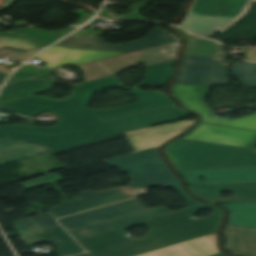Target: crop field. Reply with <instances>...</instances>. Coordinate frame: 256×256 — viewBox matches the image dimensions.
<instances>
[{"mask_svg": "<svg viewBox=\"0 0 256 256\" xmlns=\"http://www.w3.org/2000/svg\"><path fill=\"white\" fill-rule=\"evenodd\" d=\"M78 256H89V255L87 253H85V254L78 255Z\"/></svg>", "mask_w": 256, "mask_h": 256, "instance_id": "1d83c4d3", "label": "crop field"}, {"mask_svg": "<svg viewBox=\"0 0 256 256\" xmlns=\"http://www.w3.org/2000/svg\"><path fill=\"white\" fill-rule=\"evenodd\" d=\"M60 181H64V179L62 177H60L58 174H56V175L49 176V177H46V178H43V179H39V180H36V181H33V182L22 184V186L26 190H28V189H32V188H36V187H40V186L60 182Z\"/></svg>", "mask_w": 256, "mask_h": 256, "instance_id": "eef30255", "label": "crop field"}, {"mask_svg": "<svg viewBox=\"0 0 256 256\" xmlns=\"http://www.w3.org/2000/svg\"><path fill=\"white\" fill-rule=\"evenodd\" d=\"M234 77L238 78L245 87L256 88V64L244 62L230 67ZM245 76L244 78H240Z\"/></svg>", "mask_w": 256, "mask_h": 256, "instance_id": "00972430", "label": "crop field"}, {"mask_svg": "<svg viewBox=\"0 0 256 256\" xmlns=\"http://www.w3.org/2000/svg\"><path fill=\"white\" fill-rule=\"evenodd\" d=\"M123 86L116 76H111L74 87L72 97L64 101L29 96L1 103L0 108L9 109L27 117L37 111L55 112L60 116V121L54 128L0 126V137L37 143L54 151L122 132L152 127L158 123L180 120L182 116L191 115L174 106L104 123L86 108L97 90ZM131 91L138 97L161 93L159 90Z\"/></svg>", "mask_w": 256, "mask_h": 256, "instance_id": "8a807250", "label": "crop field"}, {"mask_svg": "<svg viewBox=\"0 0 256 256\" xmlns=\"http://www.w3.org/2000/svg\"><path fill=\"white\" fill-rule=\"evenodd\" d=\"M143 190L144 188L136 189V190H117L114 192L94 196L91 198L79 200L66 205L48 209L47 211L52 215L54 219H56V218L71 215L74 213H78L81 211H85L88 209H92L95 207H99L102 205H106L109 203H113L116 201H120L123 199H127L130 197H134L137 195V193Z\"/></svg>", "mask_w": 256, "mask_h": 256, "instance_id": "22f410ed", "label": "crop field"}, {"mask_svg": "<svg viewBox=\"0 0 256 256\" xmlns=\"http://www.w3.org/2000/svg\"><path fill=\"white\" fill-rule=\"evenodd\" d=\"M191 192L212 203L256 201V182L189 186ZM231 190L235 196L222 199L219 193Z\"/></svg>", "mask_w": 256, "mask_h": 256, "instance_id": "28ad6ade", "label": "crop field"}, {"mask_svg": "<svg viewBox=\"0 0 256 256\" xmlns=\"http://www.w3.org/2000/svg\"><path fill=\"white\" fill-rule=\"evenodd\" d=\"M253 2H256V0H248L246 2V4L244 5L241 13L238 16H236L233 20H231L229 23H227L219 32L223 33L225 30H227L229 27H231L233 24H235L237 21H239L242 17H244Z\"/></svg>", "mask_w": 256, "mask_h": 256, "instance_id": "ae1a2a85", "label": "crop field"}, {"mask_svg": "<svg viewBox=\"0 0 256 256\" xmlns=\"http://www.w3.org/2000/svg\"><path fill=\"white\" fill-rule=\"evenodd\" d=\"M173 41L174 40L170 37L155 28L144 39L126 44H104L102 40L98 39V36L85 39H78L69 36L57 43V45L87 49L134 51Z\"/></svg>", "mask_w": 256, "mask_h": 256, "instance_id": "d8731c3e", "label": "crop field"}, {"mask_svg": "<svg viewBox=\"0 0 256 256\" xmlns=\"http://www.w3.org/2000/svg\"><path fill=\"white\" fill-rule=\"evenodd\" d=\"M182 63L225 65V57L184 56Z\"/></svg>", "mask_w": 256, "mask_h": 256, "instance_id": "730fd06b", "label": "crop field"}, {"mask_svg": "<svg viewBox=\"0 0 256 256\" xmlns=\"http://www.w3.org/2000/svg\"><path fill=\"white\" fill-rule=\"evenodd\" d=\"M174 189L183 196L184 202L188 207L203 204L188 196L183 191L182 187ZM167 213H170V211L166 206L148 209L137 198H134L59 219L58 221L76 240H78Z\"/></svg>", "mask_w": 256, "mask_h": 256, "instance_id": "34b2d1b8", "label": "crop field"}, {"mask_svg": "<svg viewBox=\"0 0 256 256\" xmlns=\"http://www.w3.org/2000/svg\"><path fill=\"white\" fill-rule=\"evenodd\" d=\"M205 209L215 211L209 217L191 218L197 211ZM221 218L222 211L203 204L136 223H145L151 228L147 235L142 238L132 239L127 237L123 230L132 226L129 225L78 240V242L88 251L90 256H136L215 233L220 225Z\"/></svg>", "mask_w": 256, "mask_h": 256, "instance_id": "ac0d7876", "label": "crop field"}, {"mask_svg": "<svg viewBox=\"0 0 256 256\" xmlns=\"http://www.w3.org/2000/svg\"><path fill=\"white\" fill-rule=\"evenodd\" d=\"M227 82L226 66L182 64L175 83L215 85Z\"/></svg>", "mask_w": 256, "mask_h": 256, "instance_id": "733c2abd", "label": "crop field"}, {"mask_svg": "<svg viewBox=\"0 0 256 256\" xmlns=\"http://www.w3.org/2000/svg\"><path fill=\"white\" fill-rule=\"evenodd\" d=\"M118 168L125 173H128L132 180L126 187H119L104 191H83L79 194L84 198L114 191L117 189H135L141 187L154 186L158 184H165L169 187L181 186L178 179L165 166L160 155L151 157L145 160L118 166Z\"/></svg>", "mask_w": 256, "mask_h": 256, "instance_id": "f4fd0767", "label": "crop field"}, {"mask_svg": "<svg viewBox=\"0 0 256 256\" xmlns=\"http://www.w3.org/2000/svg\"><path fill=\"white\" fill-rule=\"evenodd\" d=\"M26 246L47 241L57 247L59 256H70L84 250L62 229L60 225L20 236Z\"/></svg>", "mask_w": 256, "mask_h": 256, "instance_id": "5142ce71", "label": "crop field"}, {"mask_svg": "<svg viewBox=\"0 0 256 256\" xmlns=\"http://www.w3.org/2000/svg\"><path fill=\"white\" fill-rule=\"evenodd\" d=\"M53 71L51 69H45V68H38V67H33L29 65L28 67L22 66L19 70H17L8 80V82H12L18 79L26 78V77H31L35 75H39L42 73L50 72ZM7 82V83H8Z\"/></svg>", "mask_w": 256, "mask_h": 256, "instance_id": "4177f3b9", "label": "crop field"}, {"mask_svg": "<svg viewBox=\"0 0 256 256\" xmlns=\"http://www.w3.org/2000/svg\"><path fill=\"white\" fill-rule=\"evenodd\" d=\"M0 67H7L6 65H0Z\"/></svg>", "mask_w": 256, "mask_h": 256, "instance_id": "d32e631a", "label": "crop field"}, {"mask_svg": "<svg viewBox=\"0 0 256 256\" xmlns=\"http://www.w3.org/2000/svg\"><path fill=\"white\" fill-rule=\"evenodd\" d=\"M38 51H40V50L32 51V52H27V53H24L22 55L13 56L12 61H25L27 58L33 56Z\"/></svg>", "mask_w": 256, "mask_h": 256, "instance_id": "d3111659", "label": "crop field"}, {"mask_svg": "<svg viewBox=\"0 0 256 256\" xmlns=\"http://www.w3.org/2000/svg\"><path fill=\"white\" fill-rule=\"evenodd\" d=\"M225 249L234 256H256V228L227 225Z\"/></svg>", "mask_w": 256, "mask_h": 256, "instance_id": "4a817a6b", "label": "crop field"}, {"mask_svg": "<svg viewBox=\"0 0 256 256\" xmlns=\"http://www.w3.org/2000/svg\"><path fill=\"white\" fill-rule=\"evenodd\" d=\"M190 185L256 181L255 168L206 169L179 171ZM207 177L200 182L198 177Z\"/></svg>", "mask_w": 256, "mask_h": 256, "instance_id": "d1516ede", "label": "crop field"}, {"mask_svg": "<svg viewBox=\"0 0 256 256\" xmlns=\"http://www.w3.org/2000/svg\"><path fill=\"white\" fill-rule=\"evenodd\" d=\"M214 256H225V255H223L222 253H220V254H217V255H214Z\"/></svg>", "mask_w": 256, "mask_h": 256, "instance_id": "120bbe31", "label": "crop field"}, {"mask_svg": "<svg viewBox=\"0 0 256 256\" xmlns=\"http://www.w3.org/2000/svg\"><path fill=\"white\" fill-rule=\"evenodd\" d=\"M140 102L117 107L114 109L108 110H94L91 111L101 118L104 122L113 120L116 118L137 114L145 111H150L170 105H174L175 103L167 96L166 93H161L153 96L142 97L140 98Z\"/></svg>", "mask_w": 256, "mask_h": 256, "instance_id": "d9b57169", "label": "crop field"}, {"mask_svg": "<svg viewBox=\"0 0 256 256\" xmlns=\"http://www.w3.org/2000/svg\"><path fill=\"white\" fill-rule=\"evenodd\" d=\"M183 138L249 148L256 146V131L203 122Z\"/></svg>", "mask_w": 256, "mask_h": 256, "instance_id": "e52e79f7", "label": "crop field"}, {"mask_svg": "<svg viewBox=\"0 0 256 256\" xmlns=\"http://www.w3.org/2000/svg\"><path fill=\"white\" fill-rule=\"evenodd\" d=\"M11 71L0 69V83H2L5 75H8Z\"/></svg>", "mask_w": 256, "mask_h": 256, "instance_id": "750c4746", "label": "crop field"}, {"mask_svg": "<svg viewBox=\"0 0 256 256\" xmlns=\"http://www.w3.org/2000/svg\"><path fill=\"white\" fill-rule=\"evenodd\" d=\"M124 53L78 50L53 46L36 58L49 62L46 66L59 69L66 64L80 65Z\"/></svg>", "mask_w": 256, "mask_h": 256, "instance_id": "3316defc", "label": "crop field"}, {"mask_svg": "<svg viewBox=\"0 0 256 256\" xmlns=\"http://www.w3.org/2000/svg\"><path fill=\"white\" fill-rule=\"evenodd\" d=\"M173 64L174 61H169L149 66L144 85H165Z\"/></svg>", "mask_w": 256, "mask_h": 256, "instance_id": "dafd665d", "label": "crop field"}, {"mask_svg": "<svg viewBox=\"0 0 256 256\" xmlns=\"http://www.w3.org/2000/svg\"><path fill=\"white\" fill-rule=\"evenodd\" d=\"M48 151L45 147L0 139V165Z\"/></svg>", "mask_w": 256, "mask_h": 256, "instance_id": "bc2a9ffb", "label": "crop field"}, {"mask_svg": "<svg viewBox=\"0 0 256 256\" xmlns=\"http://www.w3.org/2000/svg\"><path fill=\"white\" fill-rule=\"evenodd\" d=\"M178 140V139H177ZM176 170L248 167L256 150L180 139L165 147Z\"/></svg>", "mask_w": 256, "mask_h": 256, "instance_id": "412701ff", "label": "crop field"}, {"mask_svg": "<svg viewBox=\"0 0 256 256\" xmlns=\"http://www.w3.org/2000/svg\"><path fill=\"white\" fill-rule=\"evenodd\" d=\"M249 167H255L256 166V162H247Z\"/></svg>", "mask_w": 256, "mask_h": 256, "instance_id": "bd1437ed", "label": "crop field"}, {"mask_svg": "<svg viewBox=\"0 0 256 256\" xmlns=\"http://www.w3.org/2000/svg\"><path fill=\"white\" fill-rule=\"evenodd\" d=\"M210 86L173 84L176 98L188 109L198 113L203 122L256 130V113L235 120H223L213 115L204 104V97Z\"/></svg>", "mask_w": 256, "mask_h": 256, "instance_id": "dd49c442", "label": "crop field"}, {"mask_svg": "<svg viewBox=\"0 0 256 256\" xmlns=\"http://www.w3.org/2000/svg\"><path fill=\"white\" fill-rule=\"evenodd\" d=\"M217 235L204 236L174 246L155 250L141 256H211L220 251L217 248Z\"/></svg>", "mask_w": 256, "mask_h": 256, "instance_id": "cbeb9de0", "label": "crop field"}, {"mask_svg": "<svg viewBox=\"0 0 256 256\" xmlns=\"http://www.w3.org/2000/svg\"><path fill=\"white\" fill-rule=\"evenodd\" d=\"M230 211L227 224L256 227V202L221 204Z\"/></svg>", "mask_w": 256, "mask_h": 256, "instance_id": "214f88e0", "label": "crop field"}, {"mask_svg": "<svg viewBox=\"0 0 256 256\" xmlns=\"http://www.w3.org/2000/svg\"><path fill=\"white\" fill-rule=\"evenodd\" d=\"M20 235L58 225L48 212L13 222Z\"/></svg>", "mask_w": 256, "mask_h": 256, "instance_id": "92a150f3", "label": "crop field"}, {"mask_svg": "<svg viewBox=\"0 0 256 256\" xmlns=\"http://www.w3.org/2000/svg\"><path fill=\"white\" fill-rule=\"evenodd\" d=\"M155 155H158L157 148H152V149H148L145 151L117 157V158L105 161L104 163H106L110 167H114V166H117L120 164L148 158V157L155 156Z\"/></svg>", "mask_w": 256, "mask_h": 256, "instance_id": "a9b5d70f", "label": "crop field"}, {"mask_svg": "<svg viewBox=\"0 0 256 256\" xmlns=\"http://www.w3.org/2000/svg\"><path fill=\"white\" fill-rule=\"evenodd\" d=\"M194 122L195 119L127 132L125 135L131 143L134 151L137 152L152 147H159L163 142L180 134Z\"/></svg>", "mask_w": 256, "mask_h": 256, "instance_id": "5a996713", "label": "crop field"}]
</instances>
